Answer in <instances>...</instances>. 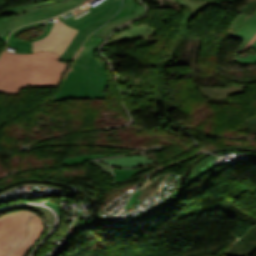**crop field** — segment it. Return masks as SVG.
Masks as SVG:
<instances>
[{
    "mask_svg": "<svg viewBox=\"0 0 256 256\" xmlns=\"http://www.w3.org/2000/svg\"><path fill=\"white\" fill-rule=\"evenodd\" d=\"M48 51L15 54L2 51L0 58V92L18 94L30 87H58L67 62Z\"/></svg>",
    "mask_w": 256,
    "mask_h": 256,
    "instance_id": "8a807250",
    "label": "crop field"
},
{
    "mask_svg": "<svg viewBox=\"0 0 256 256\" xmlns=\"http://www.w3.org/2000/svg\"><path fill=\"white\" fill-rule=\"evenodd\" d=\"M102 40L103 38L94 34L87 39L74 62L72 61L51 103L70 98H106L104 94L108 86L104 70L106 62L97 61L94 56V50Z\"/></svg>",
    "mask_w": 256,
    "mask_h": 256,
    "instance_id": "ac0d7876",
    "label": "crop field"
},
{
    "mask_svg": "<svg viewBox=\"0 0 256 256\" xmlns=\"http://www.w3.org/2000/svg\"><path fill=\"white\" fill-rule=\"evenodd\" d=\"M121 3L122 0H105L94 8L84 5L59 16L66 25L79 30L60 60L70 62L86 38L119 11Z\"/></svg>",
    "mask_w": 256,
    "mask_h": 256,
    "instance_id": "34b2d1b8",
    "label": "crop field"
},
{
    "mask_svg": "<svg viewBox=\"0 0 256 256\" xmlns=\"http://www.w3.org/2000/svg\"><path fill=\"white\" fill-rule=\"evenodd\" d=\"M88 1L54 0L36 5L17 6L2 10L0 15L13 14L14 16L0 20V34L13 31L24 24L60 15Z\"/></svg>",
    "mask_w": 256,
    "mask_h": 256,
    "instance_id": "412701ff",
    "label": "crop field"
},
{
    "mask_svg": "<svg viewBox=\"0 0 256 256\" xmlns=\"http://www.w3.org/2000/svg\"><path fill=\"white\" fill-rule=\"evenodd\" d=\"M32 212H13L0 217V256H6L25 237Z\"/></svg>",
    "mask_w": 256,
    "mask_h": 256,
    "instance_id": "f4fd0767",
    "label": "crop field"
},
{
    "mask_svg": "<svg viewBox=\"0 0 256 256\" xmlns=\"http://www.w3.org/2000/svg\"><path fill=\"white\" fill-rule=\"evenodd\" d=\"M76 33H77V30L66 26L61 21V26L56 36L52 40H50L48 43L32 48L33 53L38 51L49 50L61 56L65 51V49L70 44V42L72 41V39L74 38V36L76 35Z\"/></svg>",
    "mask_w": 256,
    "mask_h": 256,
    "instance_id": "dd49c442",
    "label": "crop field"
},
{
    "mask_svg": "<svg viewBox=\"0 0 256 256\" xmlns=\"http://www.w3.org/2000/svg\"><path fill=\"white\" fill-rule=\"evenodd\" d=\"M42 231L43 222L41 218L37 215H33L29 224V232L27 238L19 246H17L9 256H24L25 253L40 237Z\"/></svg>",
    "mask_w": 256,
    "mask_h": 256,
    "instance_id": "e52e79f7",
    "label": "crop field"
},
{
    "mask_svg": "<svg viewBox=\"0 0 256 256\" xmlns=\"http://www.w3.org/2000/svg\"><path fill=\"white\" fill-rule=\"evenodd\" d=\"M256 25V10L253 15L240 13L234 20L226 37L244 40L245 36Z\"/></svg>",
    "mask_w": 256,
    "mask_h": 256,
    "instance_id": "d8731c3e",
    "label": "crop field"
},
{
    "mask_svg": "<svg viewBox=\"0 0 256 256\" xmlns=\"http://www.w3.org/2000/svg\"><path fill=\"white\" fill-rule=\"evenodd\" d=\"M247 86L243 85H227L222 87H205L200 85V92L206 97L213 98H229V95L240 94L246 90Z\"/></svg>",
    "mask_w": 256,
    "mask_h": 256,
    "instance_id": "5a996713",
    "label": "crop field"
},
{
    "mask_svg": "<svg viewBox=\"0 0 256 256\" xmlns=\"http://www.w3.org/2000/svg\"><path fill=\"white\" fill-rule=\"evenodd\" d=\"M144 11H145V8L143 6H138L135 9L136 13H133L130 16H127L125 18L114 20L110 23H107V24L103 25L102 27H100L96 32H94V34L105 38L111 32V30L113 28H115L116 26H118L124 22H127L133 18L139 17L140 15H142L144 13Z\"/></svg>",
    "mask_w": 256,
    "mask_h": 256,
    "instance_id": "3316defc",
    "label": "crop field"
},
{
    "mask_svg": "<svg viewBox=\"0 0 256 256\" xmlns=\"http://www.w3.org/2000/svg\"><path fill=\"white\" fill-rule=\"evenodd\" d=\"M177 2H179L183 8H189L192 11V16H196L197 13L205 8L207 5L209 4H215L212 3L210 0H206V1H200V2H194L192 0H176Z\"/></svg>",
    "mask_w": 256,
    "mask_h": 256,
    "instance_id": "28ad6ade",
    "label": "crop field"
},
{
    "mask_svg": "<svg viewBox=\"0 0 256 256\" xmlns=\"http://www.w3.org/2000/svg\"><path fill=\"white\" fill-rule=\"evenodd\" d=\"M8 46L17 49V53H32L31 43L28 41L18 40L9 37Z\"/></svg>",
    "mask_w": 256,
    "mask_h": 256,
    "instance_id": "d1516ede",
    "label": "crop field"
},
{
    "mask_svg": "<svg viewBox=\"0 0 256 256\" xmlns=\"http://www.w3.org/2000/svg\"><path fill=\"white\" fill-rule=\"evenodd\" d=\"M155 165L156 164H153V165H150V166L136 168V169H133V170H123V169L113 168L114 174H115V179L118 180V181H123L127 178L132 177L136 173H138V172H140L144 169L154 167Z\"/></svg>",
    "mask_w": 256,
    "mask_h": 256,
    "instance_id": "22f410ed",
    "label": "crop field"
},
{
    "mask_svg": "<svg viewBox=\"0 0 256 256\" xmlns=\"http://www.w3.org/2000/svg\"><path fill=\"white\" fill-rule=\"evenodd\" d=\"M112 155H119V154H109V155H101V154H90V155H82V156H75V157H68L63 160L62 164H69V165H75L82 163L88 159L91 158H98V157H106V156H112Z\"/></svg>",
    "mask_w": 256,
    "mask_h": 256,
    "instance_id": "cbeb9de0",
    "label": "crop field"
},
{
    "mask_svg": "<svg viewBox=\"0 0 256 256\" xmlns=\"http://www.w3.org/2000/svg\"><path fill=\"white\" fill-rule=\"evenodd\" d=\"M136 7H137V5L134 0H124L121 11L116 16H114L111 20L125 17V16L131 14Z\"/></svg>",
    "mask_w": 256,
    "mask_h": 256,
    "instance_id": "5142ce71",
    "label": "crop field"
},
{
    "mask_svg": "<svg viewBox=\"0 0 256 256\" xmlns=\"http://www.w3.org/2000/svg\"><path fill=\"white\" fill-rule=\"evenodd\" d=\"M59 26H60V20H59L57 17H55V20H54V27H53V29L51 30V32L48 34V36H47L46 38H44V39L39 40V41H33V42H31V43H32V47H33V46H37V45H41V44H43V43L49 41L50 39H52V38L54 37V35L56 34V32H57Z\"/></svg>",
    "mask_w": 256,
    "mask_h": 256,
    "instance_id": "d9b57169",
    "label": "crop field"
},
{
    "mask_svg": "<svg viewBox=\"0 0 256 256\" xmlns=\"http://www.w3.org/2000/svg\"><path fill=\"white\" fill-rule=\"evenodd\" d=\"M46 21H47V20H45V21H40V22H37V23L28 24V25H26V26H22V27L18 28L17 30H15L14 32H12L10 36L16 38V36H17L20 32H22L23 30L30 29V28H34V27H38V26H43V25H45Z\"/></svg>",
    "mask_w": 256,
    "mask_h": 256,
    "instance_id": "733c2abd",
    "label": "crop field"
},
{
    "mask_svg": "<svg viewBox=\"0 0 256 256\" xmlns=\"http://www.w3.org/2000/svg\"><path fill=\"white\" fill-rule=\"evenodd\" d=\"M232 61L238 63L252 64L256 63V55H250L247 57H235L234 59H232Z\"/></svg>",
    "mask_w": 256,
    "mask_h": 256,
    "instance_id": "4a817a6b",
    "label": "crop field"
},
{
    "mask_svg": "<svg viewBox=\"0 0 256 256\" xmlns=\"http://www.w3.org/2000/svg\"><path fill=\"white\" fill-rule=\"evenodd\" d=\"M256 33V26L253 28V30L246 36V38H245V40L242 42V44H241V46H240V48H239V50L237 51V53L239 52V51H241V49L248 43V41L252 38V36L254 35ZM252 46H254V47H256V41L253 43V45ZM251 46V47H252ZM237 53H236V56H237Z\"/></svg>",
    "mask_w": 256,
    "mask_h": 256,
    "instance_id": "bc2a9ffb",
    "label": "crop field"
},
{
    "mask_svg": "<svg viewBox=\"0 0 256 256\" xmlns=\"http://www.w3.org/2000/svg\"><path fill=\"white\" fill-rule=\"evenodd\" d=\"M52 26H53V23H52V22H49L48 25H47V29H46V31H45L44 33H42L40 36H38V37H36V38H32V39H30V40H31V41H33V40H39V39H41V38L47 36V34H48L49 31L51 30Z\"/></svg>",
    "mask_w": 256,
    "mask_h": 256,
    "instance_id": "214f88e0",
    "label": "crop field"
},
{
    "mask_svg": "<svg viewBox=\"0 0 256 256\" xmlns=\"http://www.w3.org/2000/svg\"><path fill=\"white\" fill-rule=\"evenodd\" d=\"M256 40V34L253 36V38L249 41V43L242 49L240 53H242L244 50L248 49L249 46L252 45V43Z\"/></svg>",
    "mask_w": 256,
    "mask_h": 256,
    "instance_id": "92a150f3",
    "label": "crop field"
},
{
    "mask_svg": "<svg viewBox=\"0 0 256 256\" xmlns=\"http://www.w3.org/2000/svg\"><path fill=\"white\" fill-rule=\"evenodd\" d=\"M45 1H49V0H30L31 4H36V3L45 2Z\"/></svg>",
    "mask_w": 256,
    "mask_h": 256,
    "instance_id": "dafd665d",
    "label": "crop field"
}]
</instances>
